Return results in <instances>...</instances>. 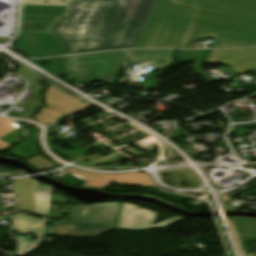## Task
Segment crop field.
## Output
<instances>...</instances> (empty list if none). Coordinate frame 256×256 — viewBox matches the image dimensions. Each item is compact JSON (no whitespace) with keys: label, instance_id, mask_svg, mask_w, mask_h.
I'll list each match as a JSON object with an SVG mask.
<instances>
[{"label":"crop field","instance_id":"8a807250","mask_svg":"<svg viewBox=\"0 0 256 256\" xmlns=\"http://www.w3.org/2000/svg\"><path fill=\"white\" fill-rule=\"evenodd\" d=\"M202 37H213L210 48L256 46V1L157 0L136 48H187Z\"/></svg>","mask_w":256,"mask_h":256},{"label":"crop field","instance_id":"ac0d7876","mask_svg":"<svg viewBox=\"0 0 256 256\" xmlns=\"http://www.w3.org/2000/svg\"><path fill=\"white\" fill-rule=\"evenodd\" d=\"M155 1H73L68 13L53 28L67 47L63 55L134 48ZM121 25L128 29L123 30Z\"/></svg>","mask_w":256,"mask_h":256},{"label":"crop field","instance_id":"34b2d1b8","mask_svg":"<svg viewBox=\"0 0 256 256\" xmlns=\"http://www.w3.org/2000/svg\"><path fill=\"white\" fill-rule=\"evenodd\" d=\"M172 50L117 51L64 57L67 76L87 85L99 80L115 86L122 63H150L163 68L170 65Z\"/></svg>","mask_w":256,"mask_h":256},{"label":"crop field","instance_id":"412701ff","mask_svg":"<svg viewBox=\"0 0 256 256\" xmlns=\"http://www.w3.org/2000/svg\"><path fill=\"white\" fill-rule=\"evenodd\" d=\"M120 204L75 206L70 223L52 222L45 235L94 237L114 230Z\"/></svg>","mask_w":256,"mask_h":256},{"label":"crop field","instance_id":"f4fd0767","mask_svg":"<svg viewBox=\"0 0 256 256\" xmlns=\"http://www.w3.org/2000/svg\"><path fill=\"white\" fill-rule=\"evenodd\" d=\"M157 213L141 208L134 204L123 202L121 205L116 229L120 230H151L165 228L186 218L176 216L167 221L154 225Z\"/></svg>","mask_w":256,"mask_h":256},{"label":"crop field","instance_id":"dd49c442","mask_svg":"<svg viewBox=\"0 0 256 256\" xmlns=\"http://www.w3.org/2000/svg\"><path fill=\"white\" fill-rule=\"evenodd\" d=\"M70 171L71 175L79 177L88 181L81 185L83 187L99 188L103 189L111 182L115 181L119 184H131V185H146L155 187L146 173H130V174H105V173H92L84 172L76 169L69 168L64 172ZM108 175V176H106Z\"/></svg>","mask_w":256,"mask_h":256},{"label":"crop field","instance_id":"e52e79f7","mask_svg":"<svg viewBox=\"0 0 256 256\" xmlns=\"http://www.w3.org/2000/svg\"><path fill=\"white\" fill-rule=\"evenodd\" d=\"M16 50L36 58L59 55L63 48L52 34L19 33Z\"/></svg>","mask_w":256,"mask_h":256},{"label":"crop field","instance_id":"d8731c3e","mask_svg":"<svg viewBox=\"0 0 256 256\" xmlns=\"http://www.w3.org/2000/svg\"><path fill=\"white\" fill-rule=\"evenodd\" d=\"M206 62L230 66L242 74L256 69V48L236 50H213Z\"/></svg>","mask_w":256,"mask_h":256},{"label":"crop field","instance_id":"5a996713","mask_svg":"<svg viewBox=\"0 0 256 256\" xmlns=\"http://www.w3.org/2000/svg\"><path fill=\"white\" fill-rule=\"evenodd\" d=\"M45 103L48 108L68 115L78 113L82 109L90 106L88 103L82 104L81 100L53 85H48V89L45 93Z\"/></svg>","mask_w":256,"mask_h":256},{"label":"crop field","instance_id":"3316defc","mask_svg":"<svg viewBox=\"0 0 256 256\" xmlns=\"http://www.w3.org/2000/svg\"><path fill=\"white\" fill-rule=\"evenodd\" d=\"M32 179L14 180L15 198L18 210L36 215L33 187L40 185V183Z\"/></svg>","mask_w":256,"mask_h":256},{"label":"crop field","instance_id":"28ad6ade","mask_svg":"<svg viewBox=\"0 0 256 256\" xmlns=\"http://www.w3.org/2000/svg\"><path fill=\"white\" fill-rule=\"evenodd\" d=\"M44 223V220L18 213L13 223L12 231L16 233L32 232L37 237H42Z\"/></svg>","mask_w":256,"mask_h":256},{"label":"crop field","instance_id":"d1516ede","mask_svg":"<svg viewBox=\"0 0 256 256\" xmlns=\"http://www.w3.org/2000/svg\"><path fill=\"white\" fill-rule=\"evenodd\" d=\"M52 192L53 187L46 184L34 188L36 211L38 216L48 219Z\"/></svg>","mask_w":256,"mask_h":256},{"label":"crop field","instance_id":"22f410ed","mask_svg":"<svg viewBox=\"0 0 256 256\" xmlns=\"http://www.w3.org/2000/svg\"><path fill=\"white\" fill-rule=\"evenodd\" d=\"M232 218L238 235L241 233L244 234L242 236L239 235L241 241L256 238V219L244 217Z\"/></svg>","mask_w":256,"mask_h":256},{"label":"crop field","instance_id":"cbeb9de0","mask_svg":"<svg viewBox=\"0 0 256 256\" xmlns=\"http://www.w3.org/2000/svg\"><path fill=\"white\" fill-rule=\"evenodd\" d=\"M67 6L23 5L22 15L61 16Z\"/></svg>","mask_w":256,"mask_h":256},{"label":"crop field","instance_id":"5142ce71","mask_svg":"<svg viewBox=\"0 0 256 256\" xmlns=\"http://www.w3.org/2000/svg\"><path fill=\"white\" fill-rule=\"evenodd\" d=\"M40 132L33 131L30 138L22 142L21 144L11 148V153L20 156L27 157L31 154L38 152L35 146V140L38 137Z\"/></svg>","mask_w":256,"mask_h":256},{"label":"crop field","instance_id":"d9b57169","mask_svg":"<svg viewBox=\"0 0 256 256\" xmlns=\"http://www.w3.org/2000/svg\"><path fill=\"white\" fill-rule=\"evenodd\" d=\"M16 242H17V255L16 256H25L29 252H33L43 241V238H37L34 241L28 242L19 239L17 236H15Z\"/></svg>","mask_w":256,"mask_h":256},{"label":"crop field","instance_id":"733c2abd","mask_svg":"<svg viewBox=\"0 0 256 256\" xmlns=\"http://www.w3.org/2000/svg\"><path fill=\"white\" fill-rule=\"evenodd\" d=\"M65 116L59 112L53 111L48 108H42L41 112L35 116V120L43 124H52L57 122L60 118Z\"/></svg>","mask_w":256,"mask_h":256},{"label":"crop field","instance_id":"4a817a6b","mask_svg":"<svg viewBox=\"0 0 256 256\" xmlns=\"http://www.w3.org/2000/svg\"><path fill=\"white\" fill-rule=\"evenodd\" d=\"M19 127L16 125L13 120L10 119H2L0 118V137L7 134L8 132L14 130ZM12 144L0 141V151L11 146Z\"/></svg>","mask_w":256,"mask_h":256},{"label":"crop field","instance_id":"bc2a9ffb","mask_svg":"<svg viewBox=\"0 0 256 256\" xmlns=\"http://www.w3.org/2000/svg\"><path fill=\"white\" fill-rule=\"evenodd\" d=\"M28 162H30L31 164H33L34 166H36L37 168H39L42 171L56 167L39 156L28 160Z\"/></svg>","mask_w":256,"mask_h":256},{"label":"crop field","instance_id":"214f88e0","mask_svg":"<svg viewBox=\"0 0 256 256\" xmlns=\"http://www.w3.org/2000/svg\"><path fill=\"white\" fill-rule=\"evenodd\" d=\"M241 243L246 255L256 253V239L243 241Z\"/></svg>","mask_w":256,"mask_h":256},{"label":"crop field","instance_id":"92a150f3","mask_svg":"<svg viewBox=\"0 0 256 256\" xmlns=\"http://www.w3.org/2000/svg\"><path fill=\"white\" fill-rule=\"evenodd\" d=\"M22 175H26V173L21 170L11 171L9 169L0 168V177H16Z\"/></svg>","mask_w":256,"mask_h":256},{"label":"crop field","instance_id":"dafd665d","mask_svg":"<svg viewBox=\"0 0 256 256\" xmlns=\"http://www.w3.org/2000/svg\"><path fill=\"white\" fill-rule=\"evenodd\" d=\"M250 256H256V254L250 255Z\"/></svg>","mask_w":256,"mask_h":256}]
</instances>
